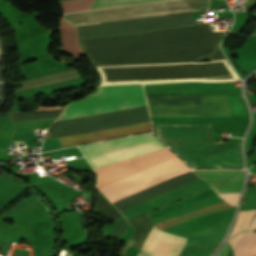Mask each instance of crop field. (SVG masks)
Segmentation results:
<instances>
[{
    "label": "crop field",
    "mask_w": 256,
    "mask_h": 256,
    "mask_svg": "<svg viewBox=\"0 0 256 256\" xmlns=\"http://www.w3.org/2000/svg\"><path fill=\"white\" fill-rule=\"evenodd\" d=\"M61 1H63V0H61Z\"/></svg>",
    "instance_id": "24"
},
{
    "label": "crop field",
    "mask_w": 256,
    "mask_h": 256,
    "mask_svg": "<svg viewBox=\"0 0 256 256\" xmlns=\"http://www.w3.org/2000/svg\"><path fill=\"white\" fill-rule=\"evenodd\" d=\"M157 136L192 167H243L241 143H212L211 124H155Z\"/></svg>",
    "instance_id": "4"
},
{
    "label": "crop field",
    "mask_w": 256,
    "mask_h": 256,
    "mask_svg": "<svg viewBox=\"0 0 256 256\" xmlns=\"http://www.w3.org/2000/svg\"><path fill=\"white\" fill-rule=\"evenodd\" d=\"M256 228V217L252 220L248 230H253Z\"/></svg>",
    "instance_id": "18"
},
{
    "label": "crop field",
    "mask_w": 256,
    "mask_h": 256,
    "mask_svg": "<svg viewBox=\"0 0 256 256\" xmlns=\"http://www.w3.org/2000/svg\"><path fill=\"white\" fill-rule=\"evenodd\" d=\"M247 233L248 232H241V233L235 235L234 237H232L231 239L227 240L230 243L233 251L235 250V248L239 244V242L246 236Z\"/></svg>",
    "instance_id": "16"
},
{
    "label": "crop field",
    "mask_w": 256,
    "mask_h": 256,
    "mask_svg": "<svg viewBox=\"0 0 256 256\" xmlns=\"http://www.w3.org/2000/svg\"><path fill=\"white\" fill-rule=\"evenodd\" d=\"M255 213L256 209H241L238 214L234 228L229 237H231L232 235L239 231L246 230L250 223L251 218L255 215Z\"/></svg>",
    "instance_id": "13"
},
{
    "label": "crop field",
    "mask_w": 256,
    "mask_h": 256,
    "mask_svg": "<svg viewBox=\"0 0 256 256\" xmlns=\"http://www.w3.org/2000/svg\"><path fill=\"white\" fill-rule=\"evenodd\" d=\"M226 244H227V243L225 242L223 248L226 246ZM223 248L218 252V254H217L216 256H219V254L221 253V251L223 250Z\"/></svg>",
    "instance_id": "20"
},
{
    "label": "crop field",
    "mask_w": 256,
    "mask_h": 256,
    "mask_svg": "<svg viewBox=\"0 0 256 256\" xmlns=\"http://www.w3.org/2000/svg\"><path fill=\"white\" fill-rule=\"evenodd\" d=\"M209 24L79 40L102 76V85L181 81H230L238 77ZM213 60L203 63H176Z\"/></svg>",
    "instance_id": "1"
},
{
    "label": "crop field",
    "mask_w": 256,
    "mask_h": 256,
    "mask_svg": "<svg viewBox=\"0 0 256 256\" xmlns=\"http://www.w3.org/2000/svg\"><path fill=\"white\" fill-rule=\"evenodd\" d=\"M229 207H232V206L228 205L224 201H221L217 204L204 206V207L195 209L193 211L171 217L169 219L163 220V221L155 224L154 226L163 230L164 228H166L168 226H171V225H174V224H177L179 222L186 221V220H189V219H192V218H196V217L205 215V214L210 213V212H214V211L224 209V208H229Z\"/></svg>",
    "instance_id": "11"
},
{
    "label": "crop field",
    "mask_w": 256,
    "mask_h": 256,
    "mask_svg": "<svg viewBox=\"0 0 256 256\" xmlns=\"http://www.w3.org/2000/svg\"><path fill=\"white\" fill-rule=\"evenodd\" d=\"M137 256H145V255L142 254L141 252H138Z\"/></svg>",
    "instance_id": "21"
},
{
    "label": "crop field",
    "mask_w": 256,
    "mask_h": 256,
    "mask_svg": "<svg viewBox=\"0 0 256 256\" xmlns=\"http://www.w3.org/2000/svg\"><path fill=\"white\" fill-rule=\"evenodd\" d=\"M256 34V30L253 32V34L252 35H255Z\"/></svg>",
    "instance_id": "23"
},
{
    "label": "crop field",
    "mask_w": 256,
    "mask_h": 256,
    "mask_svg": "<svg viewBox=\"0 0 256 256\" xmlns=\"http://www.w3.org/2000/svg\"><path fill=\"white\" fill-rule=\"evenodd\" d=\"M235 256H256V233L249 232L234 252Z\"/></svg>",
    "instance_id": "12"
},
{
    "label": "crop field",
    "mask_w": 256,
    "mask_h": 256,
    "mask_svg": "<svg viewBox=\"0 0 256 256\" xmlns=\"http://www.w3.org/2000/svg\"><path fill=\"white\" fill-rule=\"evenodd\" d=\"M94 0H71L60 2L64 13L90 9Z\"/></svg>",
    "instance_id": "14"
},
{
    "label": "crop field",
    "mask_w": 256,
    "mask_h": 256,
    "mask_svg": "<svg viewBox=\"0 0 256 256\" xmlns=\"http://www.w3.org/2000/svg\"><path fill=\"white\" fill-rule=\"evenodd\" d=\"M228 256H233V255H232V251H230V253H229V255H228Z\"/></svg>",
    "instance_id": "22"
},
{
    "label": "crop field",
    "mask_w": 256,
    "mask_h": 256,
    "mask_svg": "<svg viewBox=\"0 0 256 256\" xmlns=\"http://www.w3.org/2000/svg\"><path fill=\"white\" fill-rule=\"evenodd\" d=\"M149 1H157V0H95L92 9L126 5V4H134V3H142V2H149Z\"/></svg>",
    "instance_id": "15"
},
{
    "label": "crop field",
    "mask_w": 256,
    "mask_h": 256,
    "mask_svg": "<svg viewBox=\"0 0 256 256\" xmlns=\"http://www.w3.org/2000/svg\"><path fill=\"white\" fill-rule=\"evenodd\" d=\"M240 193H228V194H218L221 197H223L225 200H227L231 204H237L238 197ZM222 198V199H223Z\"/></svg>",
    "instance_id": "17"
},
{
    "label": "crop field",
    "mask_w": 256,
    "mask_h": 256,
    "mask_svg": "<svg viewBox=\"0 0 256 256\" xmlns=\"http://www.w3.org/2000/svg\"><path fill=\"white\" fill-rule=\"evenodd\" d=\"M59 31L61 35V49L72 57L83 56L84 54L77 40V29L61 20Z\"/></svg>",
    "instance_id": "10"
},
{
    "label": "crop field",
    "mask_w": 256,
    "mask_h": 256,
    "mask_svg": "<svg viewBox=\"0 0 256 256\" xmlns=\"http://www.w3.org/2000/svg\"><path fill=\"white\" fill-rule=\"evenodd\" d=\"M149 131H152L150 122L131 125V126H125L120 128L66 136L58 139L61 145L65 146V145H71V144H77V143H83V142H89V141L149 132Z\"/></svg>",
    "instance_id": "9"
},
{
    "label": "crop field",
    "mask_w": 256,
    "mask_h": 256,
    "mask_svg": "<svg viewBox=\"0 0 256 256\" xmlns=\"http://www.w3.org/2000/svg\"><path fill=\"white\" fill-rule=\"evenodd\" d=\"M189 170L167 148L95 168L98 189L112 203Z\"/></svg>",
    "instance_id": "3"
},
{
    "label": "crop field",
    "mask_w": 256,
    "mask_h": 256,
    "mask_svg": "<svg viewBox=\"0 0 256 256\" xmlns=\"http://www.w3.org/2000/svg\"><path fill=\"white\" fill-rule=\"evenodd\" d=\"M194 172L217 193L241 191L244 170H194Z\"/></svg>",
    "instance_id": "8"
},
{
    "label": "crop field",
    "mask_w": 256,
    "mask_h": 256,
    "mask_svg": "<svg viewBox=\"0 0 256 256\" xmlns=\"http://www.w3.org/2000/svg\"><path fill=\"white\" fill-rule=\"evenodd\" d=\"M208 5H209V0H166V1H158V2H151V3H143V4H136V5L76 12V13L63 15L62 18H65L70 23H75V22H83V21H91V20H99V19L139 15V14H148V13L204 7ZM207 8L208 7L140 15V16L115 18V19H107V20H99V21H91V22H83V23H75L73 25L136 18V17H145V16H153V15H161V14H170V13H178V12H186V11H196V10H203ZM194 24L195 23L191 16V13L186 12V13H178V14H170V15H161V16H153V17H145V18L78 25L75 27L79 29V39H84V38H94V37H102V36L122 35L127 33L145 32L150 30L187 26V25H194Z\"/></svg>",
    "instance_id": "2"
},
{
    "label": "crop field",
    "mask_w": 256,
    "mask_h": 256,
    "mask_svg": "<svg viewBox=\"0 0 256 256\" xmlns=\"http://www.w3.org/2000/svg\"><path fill=\"white\" fill-rule=\"evenodd\" d=\"M144 105L141 85L102 86L91 96L70 103L57 121Z\"/></svg>",
    "instance_id": "5"
},
{
    "label": "crop field",
    "mask_w": 256,
    "mask_h": 256,
    "mask_svg": "<svg viewBox=\"0 0 256 256\" xmlns=\"http://www.w3.org/2000/svg\"><path fill=\"white\" fill-rule=\"evenodd\" d=\"M186 240L185 237L165 233L153 226L141 252L147 256H178Z\"/></svg>",
    "instance_id": "7"
},
{
    "label": "crop field",
    "mask_w": 256,
    "mask_h": 256,
    "mask_svg": "<svg viewBox=\"0 0 256 256\" xmlns=\"http://www.w3.org/2000/svg\"><path fill=\"white\" fill-rule=\"evenodd\" d=\"M79 147L93 168L165 148L152 134Z\"/></svg>",
    "instance_id": "6"
},
{
    "label": "crop field",
    "mask_w": 256,
    "mask_h": 256,
    "mask_svg": "<svg viewBox=\"0 0 256 256\" xmlns=\"http://www.w3.org/2000/svg\"><path fill=\"white\" fill-rule=\"evenodd\" d=\"M230 246L227 244L225 250L222 252V254L220 256H227V254L229 253L230 251Z\"/></svg>",
    "instance_id": "19"
}]
</instances>
